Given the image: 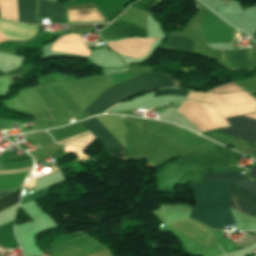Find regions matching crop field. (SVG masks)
<instances>
[{"label": "crop field", "mask_w": 256, "mask_h": 256, "mask_svg": "<svg viewBox=\"0 0 256 256\" xmlns=\"http://www.w3.org/2000/svg\"><path fill=\"white\" fill-rule=\"evenodd\" d=\"M219 225L223 229L233 223L229 208V191L226 181L206 182ZM205 182L191 183L197 208H194L189 218L218 229L210 197ZM230 206L256 217V206L230 194Z\"/></svg>", "instance_id": "crop-field-1"}, {"label": "crop field", "mask_w": 256, "mask_h": 256, "mask_svg": "<svg viewBox=\"0 0 256 256\" xmlns=\"http://www.w3.org/2000/svg\"><path fill=\"white\" fill-rule=\"evenodd\" d=\"M178 82L167 74L147 72L124 83L107 89L89 107L82 112L91 116L106 111L116 103L124 102L128 98L143 92L162 87H176Z\"/></svg>", "instance_id": "crop-field-2"}, {"label": "crop field", "mask_w": 256, "mask_h": 256, "mask_svg": "<svg viewBox=\"0 0 256 256\" xmlns=\"http://www.w3.org/2000/svg\"><path fill=\"white\" fill-rule=\"evenodd\" d=\"M157 0H140L131 5V7L143 10L147 12V8ZM111 25L120 28L136 37H143L148 36L146 30L138 27L137 25L131 23L130 21L119 18L118 20L114 21ZM109 25L107 28L100 31L102 38L107 40L119 39L124 37H134L122 30H119L113 26Z\"/></svg>", "instance_id": "crop-field-3"}, {"label": "crop field", "mask_w": 256, "mask_h": 256, "mask_svg": "<svg viewBox=\"0 0 256 256\" xmlns=\"http://www.w3.org/2000/svg\"><path fill=\"white\" fill-rule=\"evenodd\" d=\"M226 121L232 127L221 128L217 130L255 144L256 121L245 118L243 116L227 118Z\"/></svg>", "instance_id": "crop-field-4"}, {"label": "crop field", "mask_w": 256, "mask_h": 256, "mask_svg": "<svg viewBox=\"0 0 256 256\" xmlns=\"http://www.w3.org/2000/svg\"><path fill=\"white\" fill-rule=\"evenodd\" d=\"M81 125L87 128L106 148H122L95 118ZM109 151L112 157L125 161V149H109Z\"/></svg>", "instance_id": "crop-field-5"}, {"label": "crop field", "mask_w": 256, "mask_h": 256, "mask_svg": "<svg viewBox=\"0 0 256 256\" xmlns=\"http://www.w3.org/2000/svg\"><path fill=\"white\" fill-rule=\"evenodd\" d=\"M242 188H245L253 193L256 194V184L246 180V179H242V180H237V181H230ZM230 182H227L228 183V187H229V191L231 194L241 198V199H244L254 205H256V195L245 190V189H242ZM253 182L256 183L255 180H253Z\"/></svg>", "instance_id": "crop-field-6"}, {"label": "crop field", "mask_w": 256, "mask_h": 256, "mask_svg": "<svg viewBox=\"0 0 256 256\" xmlns=\"http://www.w3.org/2000/svg\"><path fill=\"white\" fill-rule=\"evenodd\" d=\"M226 67H250L253 62L252 50L222 51Z\"/></svg>", "instance_id": "crop-field-7"}, {"label": "crop field", "mask_w": 256, "mask_h": 256, "mask_svg": "<svg viewBox=\"0 0 256 256\" xmlns=\"http://www.w3.org/2000/svg\"><path fill=\"white\" fill-rule=\"evenodd\" d=\"M16 3L19 21L36 23L37 0H16Z\"/></svg>", "instance_id": "crop-field-8"}, {"label": "crop field", "mask_w": 256, "mask_h": 256, "mask_svg": "<svg viewBox=\"0 0 256 256\" xmlns=\"http://www.w3.org/2000/svg\"><path fill=\"white\" fill-rule=\"evenodd\" d=\"M38 14L47 13L52 19H65L64 7L49 0H38Z\"/></svg>", "instance_id": "crop-field-9"}, {"label": "crop field", "mask_w": 256, "mask_h": 256, "mask_svg": "<svg viewBox=\"0 0 256 256\" xmlns=\"http://www.w3.org/2000/svg\"><path fill=\"white\" fill-rule=\"evenodd\" d=\"M192 44H193V41H190V40H186L183 38L170 37V44L168 48L191 51Z\"/></svg>", "instance_id": "crop-field-10"}, {"label": "crop field", "mask_w": 256, "mask_h": 256, "mask_svg": "<svg viewBox=\"0 0 256 256\" xmlns=\"http://www.w3.org/2000/svg\"><path fill=\"white\" fill-rule=\"evenodd\" d=\"M205 180H232L246 178L237 173H212L203 174Z\"/></svg>", "instance_id": "crop-field-11"}, {"label": "crop field", "mask_w": 256, "mask_h": 256, "mask_svg": "<svg viewBox=\"0 0 256 256\" xmlns=\"http://www.w3.org/2000/svg\"><path fill=\"white\" fill-rule=\"evenodd\" d=\"M20 189L16 190L15 192L11 193L10 195L0 199V211L18 203Z\"/></svg>", "instance_id": "crop-field-12"}, {"label": "crop field", "mask_w": 256, "mask_h": 256, "mask_svg": "<svg viewBox=\"0 0 256 256\" xmlns=\"http://www.w3.org/2000/svg\"><path fill=\"white\" fill-rule=\"evenodd\" d=\"M47 189H48V187L44 188V189H41L39 191H36V192H34L30 195L22 197L20 205L24 204V203H27V202H30V201H33V200H36V199L47 197Z\"/></svg>", "instance_id": "crop-field-13"}, {"label": "crop field", "mask_w": 256, "mask_h": 256, "mask_svg": "<svg viewBox=\"0 0 256 256\" xmlns=\"http://www.w3.org/2000/svg\"><path fill=\"white\" fill-rule=\"evenodd\" d=\"M188 90H180V89H162L155 92L154 96L157 95H187Z\"/></svg>", "instance_id": "crop-field-14"}, {"label": "crop field", "mask_w": 256, "mask_h": 256, "mask_svg": "<svg viewBox=\"0 0 256 256\" xmlns=\"http://www.w3.org/2000/svg\"><path fill=\"white\" fill-rule=\"evenodd\" d=\"M31 167L29 168H25L22 170H11V171H1L0 174H8V173H22V172H26L29 171Z\"/></svg>", "instance_id": "crop-field-15"}, {"label": "crop field", "mask_w": 256, "mask_h": 256, "mask_svg": "<svg viewBox=\"0 0 256 256\" xmlns=\"http://www.w3.org/2000/svg\"><path fill=\"white\" fill-rule=\"evenodd\" d=\"M86 134H89V132H88V131H86V132H84V133H82V134H80V135H77V136H74V137H70V138H67V139L61 140V141H59V142H57V143H61V142H64V141H67V140H70V139H73V138H77V137H80V136L86 135Z\"/></svg>", "instance_id": "crop-field-16"}, {"label": "crop field", "mask_w": 256, "mask_h": 256, "mask_svg": "<svg viewBox=\"0 0 256 256\" xmlns=\"http://www.w3.org/2000/svg\"><path fill=\"white\" fill-rule=\"evenodd\" d=\"M249 176L252 178H256V166H254L253 168H251V171L249 173Z\"/></svg>", "instance_id": "crop-field-17"}, {"label": "crop field", "mask_w": 256, "mask_h": 256, "mask_svg": "<svg viewBox=\"0 0 256 256\" xmlns=\"http://www.w3.org/2000/svg\"><path fill=\"white\" fill-rule=\"evenodd\" d=\"M12 191H14V190H11V191H2V192H0V198L3 197V196H5V195H7V194H9V193H11Z\"/></svg>", "instance_id": "crop-field-18"}, {"label": "crop field", "mask_w": 256, "mask_h": 256, "mask_svg": "<svg viewBox=\"0 0 256 256\" xmlns=\"http://www.w3.org/2000/svg\"><path fill=\"white\" fill-rule=\"evenodd\" d=\"M249 94L256 99V92H249Z\"/></svg>", "instance_id": "crop-field-19"}, {"label": "crop field", "mask_w": 256, "mask_h": 256, "mask_svg": "<svg viewBox=\"0 0 256 256\" xmlns=\"http://www.w3.org/2000/svg\"><path fill=\"white\" fill-rule=\"evenodd\" d=\"M254 158H256V153H255V156H254Z\"/></svg>", "instance_id": "crop-field-20"}, {"label": "crop field", "mask_w": 256, "mask_h": 256, "mask_svg": "<svg viewBox=\"0 0 256 256\" xmlns=\"http://www.w3.org/2000/svg\"><path fill=\"white\" fill-rule=\"evenodd\" d=\"M0 74H1V72H0Z\"/></svg>", "instance_id": "crop-field-21"}]
</instances>
